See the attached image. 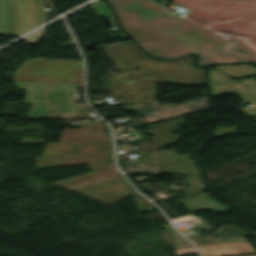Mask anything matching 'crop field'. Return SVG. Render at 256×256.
<instances>
[{
	"label": "crop field",
	"instance_id": "1",
	"mask_svg": "<svg viewBox=\"0 0 256 256\" xmlns=\"http://www.w3.org/2000/svg\"><path fill=\"white\" fill-rule=\"evenodd\" d=\"M121 26L152 56L171 59L199 55L198 65L252 62L218 50L230 43L149 0H107Z\"/></svg>",
	"mask_w": 256,
	"mask_h": 256
},
{
	"label": "crop field",
	"instance_id": "11",
	"mask_svg": "<svg viewBox=\"0 0 256 256\" xmlns=\"http://www.w3.org/2000/svg\"><path fill=\"white\" fill-rule=\"evenodd\" d=\"M233 85L243 102L251 105V107L241 109V111L249 116L256 117V82L254 80H246L240 84L234 82Z\"/></svg>",
	"mask_w": 256,
	"mask_h": 256
},
{
	"label": "crop field",
	"instance_id": "5",
	"mask_svg": "<svg viewBox=\"0 0 256 256\" xmlns=\"http://www.w3.org/2000/svg\"><path fill=\"white\" fill-rule=\"evenodd\" d=\"M204 100V101H202ZM190 107H193L192 109ZM208 98L203 97L179 105L169 104L160 106L155 100L125 107L124 111H140L147 123H154L198 111L207 110Z\"/></svg>",
	"mask_w": 256,
	"mask_h": 256
},
{
	"label": "crop field",
	"instance_id": "13",
	"mask_svg": "<svg viewBox=\"0 0 256 256\" xmlns=\"http://www.w3.org/2000/svg\"><path fill=\"white\" fill-rule=\"evenodd\" d=\"M210 86L218 82L231 81V78L219 71L218 69L209 71Z\"/></svg>",
	"mask_w": 256,
	"mask_h": 256
},
{
	"label": "crop field",
	"instance_id": "9",
	"mask_svg": "<svg viewBox=\"0 0 256 256\" xmlns=\"http://www.w3.org/2000/svg\"><path fill=\"white\" fill-rule=\"evenodd\" d=\"M187 118L182 117L174 119L171 121L163 122L157 124L158 128L143 131V135L153 132L155 140L153 145H165V144H174L178 141L181 136H174L172 133L176 130H180L179 125H182ZM164 130V131H161ZM164 141L163 143L161 141Z\"/></svg>",
	"mask_w": 256,
	"mask_h": 256
},
{
	"label": "crop field",
	"instance_id": "16",
	"mask_svg": "<svg viewBox=\"0 0 256 256\" xmlns=\"http://www.w3.org/2000/svg\"><path fill=\"white\" fill-rule=\"evenodd\" d=\"M175 252L177 253L178 256H181L187 253L196 252V250L194 247H187V248L175 249Z\"/></svg>",
	"mask_w": 256,
	"mask_h": 256
},
{
	"label": "crop field",
	"instance_id": "15",
	"mask_svg": "<svg viewBox=\"0 0 256 256\" xmlns=\"http://www.w3.org/2000/svg\"><path fill=\"white\" fill-rule=\"evenodd\" d=\"M222 89L224 91H222ZM212 91H213V95L214 97L223 93V92H234V93H237L236 90L234 89L232 83H229V84H223V85H219V86H216V87H212ZM219 91H222L221 93H219Z\"/></svg>",
	"mask_w": 256,
	"mask_h": 256
},
{
	"label": "crop field",
	"instance_id": "17",
	"mask_svg": "<svg viewBox=\"0 0 256 256\" xmlns=\"http://www.w3.org/2000/svg\"><path fill=\"white\" fill-rule=\"evenodd\" d=\"M180 174H193V173H180Z\"/></svg>",
	"mask_w": 256,
	"mask_h": 256
},
{
	"label": "crop field",
	"instance_id": "10",
	"mask_svg": "<svg viewBox=\"0 0 256 256\" xmlns=\"http://www.w3.org/2000/svg\"><path fill=\"white\" fill-rule=\"evenodd\" d=\"M111 140L103 129H67L63 128L60 142Z\"/></svg>",
	"mask_w": 256,
	"mask_h": 256
},
{
	"label": "crop field",
	"instance_id": "18",
	"mask_svg": "<svg viewBox=\"0 0 256 256\" xmlns=\"http://www.w3.org/2000/svg\"><path fill=\"white\" fill-rule=\"evenodd\" d=\"M250 256H256V255H250Z\"/></svg>",
	"mask_w": 256,
	"mask_h": 256
},
{
	"label": "crop field",
	"instance_id": "3",
	"mask_svg": "<svg viewBox=\"0 0 256 256\" xmlns=\"http://www.w3.org/2000/svg\"><path fill=\"white\" fill-rule=\"evenodd\" d=\"M16 88H26L25 103H33L29 118H97L85 104H74L69 91L83 87L74 84L14 82Z\"/></svg>",
	"mask_w": 256,
	"mask_h": 256
},
{
	"label": "crop field",
	"instance_id": "4",
	"mask_svg": "<svg viewBox=\"0 0 256 256\" xmlns=\"http://www.w3.org/2000/svg\"><path fill=\"white\" fill-rule=\"evenodd\" d=\"M44 0H0V35L19 36L44 22Z\"/></svg>",
	"mask_w": 256,
	"mask_h": 256
},
{
	"label": "crop field",
	"instance_id": "14",
	"mask_svg": "<svg viewBox=\"0 0 256 256\" xmlns=\"http://www.w3.org/2000/svg\"><path fill=\"white\" fill-rule=\"evenodd\" d=\"M90 5L94 9V11L97 13V15L99 16L110 15L107 7L103 5L101 2L94 1L90 3Z\"/></svg>",
	"mask_w": 256,
	"mask_h": 256
},
{
	"label": "crop field",
	"instance_id": "6",
	"mask_svg": "<svg viewBox=\"0 0 256 256\" xmlns=\"http://www.w3.org/2000/svg\"><path fill=\"white\" fill-rule=\"evenodd\" d=\"M105 155L104 150L84 152V153H75V154H65V155H55V156H46L42 157L41 162H36L37 164L50 163L52 167L73 165L86 163L93 171L58 182L62 184H72L81 180H85L94 176H97L95 173L104 169L105 164L99 157ZM71 160L69 162H66Z\"/></svg>",
	"mask_w": 256,
	"mask_h": 256
},
{
	"label": "crop field",
	"instance_id": "2",
	"mask_svg": "<svg viewBox=\"0 0 256 256\" xmlns=\"http://www.w3.org/2000/svg\"><path fill=\"white\" fill-rule=\"evenodd\" d=\"M101 47L117 69L122 71L109 77L103 88L116 97L127 96L129 99L121 101L122 104L156 98L154 84L206 85L204 69H195L192 57L156 61L145 56L132 41ZM146 72L150 76L144 77Z\"/></svg>",
	"mask_w": 256,
	"mask_h": 256
},
{
	"label": "crop field",
	"instance_id": "12",
	"mask_svg": "<svg viewBox=\"0 0 256 256\" xmlns=\"http://www.w3.org/2000/svg\"><path fill=\"white\" fill-rule=\"evenodd\" d=\"M217 68L226 72L233 78L244 77L248 75L256 74V68L247 65L240 66H217Z\"/></svg>",
	"mask_w": 256,
	"mask_h": 256
},
{
	"label": "crop field",
	"instance_id": "7",
	"mask_svg": "<svg viewBox=\"0 0 256 256\" xmlns=\"http://www.w3.org/2000/svg\"><path fill=\"white\" fill-rule=\"evenodd\" d=\"M113 148L112 141L99 142H73L47 144L43 155L84 152L98 149ZM87 149V150H84Z\"/></svg>",
	"mask_w": 256,
	"mask_h": 256
},
{
	"label": "crop field",
	"instance_id": "8",
	"mask_svg": "<svg viewBox=\"0 0 256 256\" xmlns=\"http://www.w3.org/2000/svg\"><path fill=\"white\" fill-rule=\"evenodd\" d=\"M204 256H228L256 252L248 241L198 247Z\"/></svg>",
	"mask_w": 256,
	"mask_h": 256
}]
</instances>
